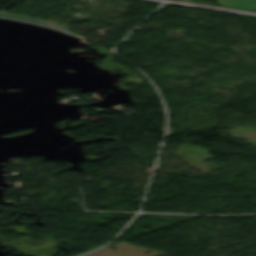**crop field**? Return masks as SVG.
<instances>
[{
	"instance_id": "1",
	"label": "crop field",
	"mask_w": 256,
	"mask_h": 256,
	"mask_svg": "<svg viewBox=\"0 0 256 256\" xmlns=\"http://www.w3.org/2000/svg\"><path fill=\"white\" fill-rule=\"evenodd\" d=\"M213 1L226 7L256 10V0H213Z\"/></svg>"
}]
</instances>
